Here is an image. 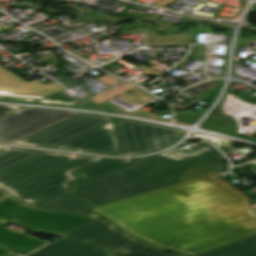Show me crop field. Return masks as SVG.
I'll return each instance as SVG.
<instances>
[{"label":"crop field","mask_w":256,"mask_h":256,"mask_svg":"<svg viewBox=\"0 0 256 256\" xmlns=\"http://www.w3.org/2000/svg\"><path fill=\"white\" fill-rule=\"evenodd\" d=\"M79 113L23 107L0 119V142L13 144Z\"/></svg>","instance_id":"crop-field-7"},{"label":"crop field","mask_w":256,"mask_h":256,"mask_svg":"<svg viewBox=\"0 0 256 256\" xmlns=\"http://www.w3.org/2000/svg\"><path fill=\"white\" fill-rule=\"evenodd\" d=\"M191 140L193 139H187L180 146ZM178 147L75 187L72 193L97 207L228 167L222 164L225 158L207 143L195 145L192 152L183 151Z\"/></svg>","instance_id":"crop-field-2"},{"label":"crop field","mask_w":256,"mask_h":256,"mask_svg":"<svg viewBox=\"0 0 256 256\" xmlns=\"http://www.w3.org/2000/svg\"><path fill=\"white\" fill-rule=\"evenodd\" d=\"M93 210L157 248L189 256L256 234L249 198L217 174Z\"/></svg>","instance_id":"crop-field-1"},{"label":"crop field","mask_w":256,"mask_h":256,"mask_svg":"<svg viewBox=\"0 0 256 256\" xmlns=\"http://www.w3.org/2000/svg\"><path fill=\"white\" fill-rule=\"evenodd\" d=\"M46 151L6 147L0 150V172L21 164Z\"/></svg>","instance_id":"crop-field-14"},{"label":"crop field","mask_w":256,"mask_h":256,"mask_svg":"<svg viewBox=\"0 0 256 256\" xmlns=\"http://www.w3.org/2000/svg\"><path fill=\"white\" fill-rule=\"evenodd\" d=\"M2 148H4V147H0V149H2Z\"/></svg>","instance_id":"crop-field-25"},{"label":"crop field","mask_w":256,"mask_h":256,"mask_svg":"<svg viewBox=\"0 0 256 256\" xmlns=\"http://www.w3.org/2000/svg\"><path fill=\"white\" fill-rule=\"evenodd\" d=\"M109 121L110 117L81 113L15 144L53 149Z\"/></svg>","instance_id":"crop-field-8"},{"label":"crop field","mask_w":256,"mask_h":256,"mask_svg":"<svg viewBox=\"0 0 256 256\" xmlns=\"http://www.w3.org/2000/svg\"><path fill=\"white\" fill-rule=\"evenodd\" d=\"M18 108H20V107L0 105V118L5 116L6 114L18 109Z\"/></svg>","instance_id":"crop-field-21"},{"label":"crop field","mask_w":256,"mask_h":256,"mask_svg":"<svg viewBox=\"0 0 256 256\" xmlns=\"http://www.w3.org/2000/svg\"><path fill=\"white\" fill-rule=\"evenodd\" d=\"M136 86L133 85V84H130V83H127V82H124L120 85H117L111 89H108L104 92H101V93H97V94H94L92 95L93 97V100L94 102L98 103V104H101L117 95H120V94H123L133 88H135Z\"/></svg>","instance_id":"crop-field-17"},{"label":"crop field","mask_w":256,"mask_h":256,"mask_svg":"<svg viewBox=\"0 0 256 256\" xmlns=\"http://www.w3.org/2000/svg\"><path fill=\"white\" fill-rule=\"evenodd\" d=\"M32 206L100 218L90 212V204L71 195L69 190L35 203Z\"/></svg>","instance_id":"crop-field-11"},{"label":"crop field","mask_w":256,"mask_h":256,"mask_svg":"<svg viewBox=\"0 0 256 256\" xmlns=\"http://www.w3.org/2000/svg\"><path fill=\"white\" fill-rule=\"evenodd\" d=\"M216 86H217L216 81H211V82H206V83H203V84H200V85H197V86H194V87L182 90L181 92L184 93L186 91L193 90V89H196L198 91L204 92V91L209 90L211 88H214Z\"/></svg>","instance_id":"crop-field-19"},{"label":"crop field","mask_w":256,"mask_h":256,"mask_svg":"<svg viewBox=\"0 0 256 256\" xmlns=\"http://www.w3.org/2000/svg\"><path fill=\"white\" fill-rule=\"evenodd\" d=\"M55 149L106 155L120 151L112 121Z\"/></svg>","instance_id":"crop-field-9"},{"label":"crop field","mask_w":256,"mask_h":256,"mask_svg":"<svg viewBox=\"0 0 256 256\" xmlns=\"http://www.w3.org/2000/svg\"><path fill=\"white\" fill-rule=\"evenodd\" d=\"M37 80L27 82L0 66L1 95L42 98L64 90L54 82L45 85Z\"/></svg>","instance_id":"crop-field-10"},{"label":"crop field","mask_w":256,"mask_h":256,"mask_svg":"<svg viewBox=\"0 0 256 256\" xmlns=\"http://www.w3.org/2000/svg\"><path fill=\"white\" fill-rule=\"evenodd\" d=\"M91 219L93 218L28 206L8 194L0 199V243L17 254L11 256H23L48 242L2 226L7 221L20 224L37 233L62 236Z\"/></svg>","instance_id":"crop-field-4"},{"label":"crop field","mask_w":256,"mask_h":256,"mask_svg":"<svg viewBox=\"0 0 256 256\" xmlns=\"http://www.w3.org/2000/svg\"><path fill=\"white\" fill-rule=\"evenodd\" d=\"M123 151L114 155H138L165 148L183 137L185 131L148 122L114 120Z\"/></svg>","instance_id":"crop-field-6"},{"label":"crop field","mask_w":256,"mask_h":256,"mask_svg":"<svg viewBox=\"0 0 256 256\" xmlns=\"http://www.w3.org/2000/svg\"><path fill=\"white\" fill-rule=\"evenodd\" d=\"M131 245V244H130ZM111 256H183L166 251L154 249L139 241Z\"/></svg>","instance_id":"crop-field-16"},{"label":"crop field","mask_w":256,"mask_h":256,"mask_svg":"<svg viewBox=\"0 0 256 256\" xmlns=\"http://www.w3.org/2000/svg\"><path fill=\"white\" fill-rule=\"evenodd\" d=\"M136 241L103 219H93L26 256H107Z\"/></svg>","instance_id":"crop-field-5"},{"label":"crop field","mask_w":256,"mask_h":256,"mask_svg":"<svg viewBox=\"0 0 256 256\" xmlns=\"http://www.w3.org/2000/svg\"><path fill=\"white\" fill-rule=\"evenodd\" d=\"M238 137L241 133L236 132V124L233 119L221 114L219 105L212 111L210 116L202 123L201 127Z\"/></svg>","instance_id":"crop-field-15"},{"label":"crop field","mask_w":256,"mask_h":256,"mask_svg":"<svg viewBox=\"0 0 256 256\" xmlns=\"http://www.w3.org/2000/svg\"><path fill=\"white\" fill-rule=\"evenodd\" d=\"M99 159L48 151L0 173V188L16 200L30 205L68 190L67 184L77 179L71 172Z\"/></svg>","instance_id":"crop-field-3"},{"label":"crop field","mask_w":256,"mask_h":256,"mask_svg":"<svg viewBox=\"0 0 256 256\" xmlns=\"http://www.w3.org/2000/svg\"><path fill=\"white\" fill-rule=\"evenodd\" d=\"M193 136L204 138V139H209L210 142L216 143V145L221 148L223 146H226L234 141L222 139V138H217V137H212V136H206V135H201V134H192Z\"/></svg>","instance_id":"crop-field-18"},{"label":"crop field","mask_w":256,"mask_h":256,"mask_svg":"<svg viewBox=\"0 0 256 256\" xmlns=\"http://www.w3.org/2000/svg\"><path fill=\"white\" fill-rule=\"evenodd\" d=\"M97 79L100 80L101 82L107 84V85H113V84L120 81V79H117V78L109 76V75H106V76H103V77H100V78H97Z\"/></svg>","instance_id":"crop-field-20"},{"label":"crop field","mask_w":256,"mask_h":256,"mask_svg":"<svg viewBox=\"0 0 256 256\" xmlns=\"http://www.w3.org/2000/svg\"><path fill=\"white\" fill-rule=\"evenodd\" d=\"M149 157L145 158H138V159H105L102 160L88 168H85L81 171L74 173L80 178L76 182L70 183L71 187L78 186L80 184L86 183L88 181L94 180L96 178L102 177L104 175L110 174L117 170L123 169L128 167L136 162L144 160Z\"/></svg>","instance_id":"crop-field-12"},{"label":"crop field","mask_w":256,"mask_h":256,"mask_svg":"<svg viewBox=\"0 0 256 256\" xmlns=\"http://www.w3.org/2000/svg\"><path fill=\"white\" fill-rule=\"evenodd\" d=\"M252 177H255V178H256V176H248V177H246L245 179H250V178H252Z\"/></svg>","instance_id":"crop-field-24"},{"label":"crop field","mask_w":256,"mask_h":256,"mask_svg":"<svg viewBox=\"0 0 256 256\" xmlns=\"http://www.w3.org/2000/svg\"><path fill=\"white\" fill-rule=\"evenodd\" d=\"M10 253H12L10 250L0 245V256H6Z\"/></svg>","instance_id":"crop-field-22"},{"label":"crop field","mask_w":256,"mask_h":256,"mask_svg":"<svg viewBox=\"0 0 256 256\" xmlns=\"http://www.w3.org/2000/svg\"><path fill=\"white\" fill-rule=\"evenodd\" d=\"M196 256H256V235L238 240Z\"/></svg>","instance_id":"crop-field-13"},{"label":"crop field","mask_w":256,"mask_h":256,"mask_svg":"<svg viewBox=\"0 0 256 256\" xmlns=\"http://www.w3.org/2000/svg\"><path fill=\"white\" fill-rule=\"evenodd\" d=\"M6 194H7L6 192H4V191H2V190L0 189V198H1L2 196L6 195Z\"/></svg>","instance_id":"crop-field-23"}]
</instances>
